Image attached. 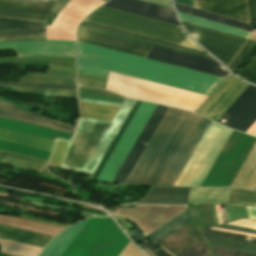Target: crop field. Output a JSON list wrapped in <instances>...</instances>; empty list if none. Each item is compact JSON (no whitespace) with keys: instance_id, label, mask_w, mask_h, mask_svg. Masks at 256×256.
I'll return each instance as SVG.
<instances>
[{"instance_id":"crop-field-1","label":"crop field","mask_w":256,"mask_h":256,"mask_svg":"<svg viewBox=\"0 0 256 256\" xmlns=\"http://www.w3.org/2000/svg\"><path fill=\"white\" fill-rule=\"evenodd\" d=\"M209 124L168 108L125 184L174 186Z\"/></svg>"},{"instance_id":"crop-field-2","label":"crop field","mask_w":256,"mask_h":256,"mask_svg":"<svg viewBox=\"0 0 256 256\" xmlns=\"http://www.w3.org/2000/svg\"><path fill=\"white\" fill-rule=\"evenodd\" d=\"M76 67L80 73L106 77L112 71L206 95L223 80L78 41Z\"/></svg>"},{"instance_id":"crop-field-3","label":"crop field","mask_w":256,"mask_h":256,"mask_svg":"<svg viewBox=\"0 0 256 256\" xmlns=\"http://www.w3.org/2000/svg\"><path fill=\"white\" fill-rule=\"evenodd\" d=\"M79 101L120 107L113 122L80 118L61 168L93 173L114 135L129 112L134 100L122 104L79 98Z\"/></svg>"},{"instance_id":"crop-field-4","label":"crop field","mask_w":256,"mask_h":256,"mask_svg":"<svg viewBox=\"0 0 256 256\" xmlns=\"http://www.w3.org/2000/svg\"><path fill=\"white\" fill-rule=\"evenodd\" d=\"M155 107L156 104L141 102L123 136L121 137L100 176L98 177V182L112 183L117 171L122 165L124 159L135 143L137 137L139 136ZM166 110L167 107L157 105L139 138L128 154L126 160L118 171L113 183L124 184Z\"/></svg>"},{"instance_id":"crop-field-5","label":"crop field","mask_w":256,"mask_h":256,"mask_svg":"<svg viewBox=\"0 0 256 256\" xmlns=\"http://www.w3.org/2000/svg\"><path fill=\"white\" fill-rule=\"evenodd\" d=\"M77 40L110 48L113 50L145 57L151 50L152 46L79 28L77 29ZM147 58L184 67L187 69L219 76L225 78L229 73H227L217 62L155 47L148 54Z\"/></svg>"},{"instance_id":"crop-field-6","label":"crop field","mask_w":256,"mask_h":256,"mask_svg":"<svg viewBox=\"0 0 256 256\" xmlns=\"http://www.w3.org/2000/svg\"><path fill=\"white\" fill-rule=\"evenodd\" d=\"M84 21L203 51L177 25L103 7L90 13Z\"/></svg>"},{"instance_id":"crop-field-7","label":"crop field","mask_w":256,"mask_h":256,"mask_svg":"<svg viewBox=\"0 0 256 256\" xmlns=\"http://www.w3.org/2000/svg\"><path fill=\"white\" fill-rule=\"evenodd\" d=\"M230 132L211 122L175 186H200Z\"/></svg>"},{"instance_id":"crop-field-8","label":"crop field","mask_w":256,"mask_h":256,"mask_svg":"<svg viewBox=\"0 0 256 256\" xmlns=\"http://www.w3.org/2000/svg\"><path fill=\"white\" fill-rule=\"evenodd\" d=\"M103 2L101 0H72L56 17L52 25L46 26V39L75 41L77 24Z\"/></svg>"},{"instance_id":"crop-field-9","label":"crop field","mask_w":256,"mask_h":256,"mask_svg":"<svg viewBox=\"0 0 256 256\" xmlns=\"http://www.w3.org/2000/svg\"><path fill=\"white\" fill-rule=\"evenodd\" d=\"M182 24L194 40L213 54L226 67L245 42V39L213 31L207 28L186 22H182Z\"/></svg>"},{"instance_id":"crop-field-10","label":"crop field","mask_w":256,"mask_h":256,"mask_svg":"<svg viewBox=\"0 0 256 256\" xmlns=\"http://www.w3.org/2000/svg\"><path fill=\"white\" fill-rule=\"evenodd\" d=\"M256 120V87L249 85L217 122L245 132Z\"/></svg>"},{"instance_id":"crop-field-11","label":"crop field","mask_w":256,"mask_h":256,"mask_svg":"<svg viewBox=\"0 0 256 256\" xmlns=\"http://www.w3.org/2000/svg\"><path fill=\"white\" fill-rule=\"evenodd\" d=\"M14 48L17 57L58 56L75 58V42L37 40L0 43V49Z\"/></svg>"},{"instance_id":"crop-field-12","label":"crop field","mask_w":256,"mask_h":256,"mask_svg":"<svg viewBox=\"0 0 256 256\" xmlns=\"http://www.w3.org/2000/svg\"><path fill=\"white\" fill-rule=\"evenodd\" d=\"M174 6H175L176 10H178V11H182V12H185V13H188V14H192V15L202 17V18H205V19H208V20H212V21H215V22H219V23H222V24L233 26V27L243 29V30H246V31L252 32V30H253L251 28V26L247 23L239 22V21H236V20H232V19H229V18L221 17V16L214 15V14H210V13H207V12L192 9V8L185 7V6L178 5V4H174ZM178 14H179V17L182 21H186V22H189V23H193V24H196V25H200V26H203V27H207V28H210V29H214V30H217V31H220V32H224V33L231 34V35L238 36V37L245 38V39H247V37L250 35V32H246V31H243V30H239V29L232 28V27H229V26H226V25H222V24L215 23V22H212V21L197 18V17H194V16L186 15V14H183V13L178 12Z\"/></svg>"},{"instance_id":"crop-field-13","label":"crop field","mask_w":256,"mask_h":256,"mask_svg":"<svg viewBox=\"0 0 256 256\" xmlns=\"http://www.w3.org/2000/svg\"><path fill=\"white\" fill-rule=\"evenodd\" d=\"M56 1L0 0V17L46 21Z\"/></svg>"},{"instance_id":"crop-field-14","label":"crop field","mask_w":256,"mask_h":256,"mask_svg":"<svg viewBox=\"0 0 256 256\" xmlns=\"http://www.w3.org/2000/svg\"><path fill=\"white\" fill-rule=\"evenodd\" d=\"M103 7L179 25L171 8L140 0H109Z\"/></svg>"},{"instance_id":"crop-field-15","label":"crop field","mask_w":256,"mask_h":256,"mask_svg":"<svg viewBox=\"0 0 256 256\" xmlns=\"http://www.w3.org/2000/svg\"><path fill=\"white\" fill-rule=\"evenodd\" d=\"M0 117L18 120L42 127H47L55 130H60L73 134L75 127L73 125L64 124L56 120L50 119L41 115L28 114L20 109L6 103L0 102Z\"/></svg>"},{"instance_id":"crop-field-16","label":"crop field","mask_w":256,"mask_h":256,"mask_svg":"<svg viewBox=\"0 0 256 256\" xmlns=\"http://www.w3.org/2000/svg\"><path fill=\"white\" fill-rule=\"evenodd\" d=\"M201 240L198 231L192 225L191 221H188L164 240L159 241V244L174 256H179Z\"/></svg>"},{"instance_id":"crop-field-17","label":"crop field","mask_w":256,"mask_h":256,"mask_svg":"<svg viewBox=\"0 0 256 256\" xmlns=\"http://www.w3.org/2000/svg\"><path fill=\"white\" fill-rule=\"evenodd\" d=\"M198 8L248 23L246 0H197Z\"/></svg>"},{"instance_id":"crop-field-18","label":"crop field","mask_w":256,"mask_h":256,"mask_svg":"<svg viewBox=\"0 0 256 256\" xmlns=\"http://www.w3.org/2000/svg\"><path fill=\"white\" fill-rule=\"evenodd\" d=\"M190 188L153 187L146 197L136 203L187 204Z\"/></svg>"},{"instance_id":"crop-field-19","label":"crop field","mask_w":256,"mask_h":256,"mask_svg":"<svg viewBox=\"0 0 256 256\" xmlns=\"http://www.w3.org/2000/svg\"><path fill=\"white\" fill-rule=\"evenodd\" d=\"M0 238L44 248L52 237L0 226Z\"/></svg>"},{"instance_id":"crop-field-20","label":"crop field","mask_w":256,"mask_h":256,"mask_svg":"<svg viewBox=\"0 0 256 256\" xmlns=\"http://www.w3.org/2000/svg\"><path fill=\"white\" fill-rule=\"evenodd\" d=\"M231 186L240 188L256 187V143L236 175Z\"/></svg>"},{"instance_id":"crop-field-21","label":"crop field","mask_w":256,"mask_h":256,"mask_svg":"<svg viewBox=\"0 0 256 256\" xmlns=\"http://www.w3.org/2000/svg\"><path fill=\"white\" fill-rule=\"evenodd\" d=\"M88 220L89 219L78 222L69 227L67 230L53 239L40 256H61Z\"/></svg>"},{"instance_id":"crop-field-22","label":"crop field","mask_w":256,"mask_h":256,"mask_svg":"<svg viewBox=\"0 0 256 256\" xmlns=\"http://www.w3.org/2000/svg\"><path fill=\"white\" fill-rule=\"evenodd\" d=\"M0 163L42 173L47 162L0 151Z\"/></svg>"},{"instance_id":"crop-field-23","label":"crop field","mask_w":256,"mask_h":256,"mask_svg":"<svg viewBox=\"0 0 256 256\" xmlns=\"http://www.w3.org/2000/svg\"><path fill=\"white\" fill-rule=\"evenodd\" d=\"M0 139L50 151L54 142L0 129Z\"/></svg>"},{"instance_id":"crop-field-24","label":"crop field","mask_w":256,"mask_h":256,"mask_svg":"<svg viewBox=\"0 0 256 256\" xmlns=\"http://www.w3.org/2000/svg\"><path fill=\"white\" fill-rule=\"evenodd\" d=\"M80 104L81 116L83 118L96 119L112 122L118 108L102 106L96 104L82 103Z\"/></svg>"},{"instance_id":"crop-field-25","label":"crop field","mask_w":256,"mask_h":256,"mask_svg":"<svg viewBox=\"0 0 256 256\" xmlns=\"http://www.w3.org/2000/svg\"><path fill=\"white\" fill-rule=\"evenodd\" d=\"M188 220H190L188 211L185 210L184 212L174 217L167 223L163 224L153 232L149 233L147 237L158 243L159 241L164 239L166 236L171 234L173 231H175L177 228H179L184 223H186Z\"/></svg>"},{"instance_id":"crop-field-26","label":"crop field","mask_w":256,"mask_h":256,"mask_svg":"<svg viewBox=\"0 0 256 256\" xmlns=\"http://www.w3.org/2000/svg\"><path fill=\"white\" fill-rule=\"evenodd\" d=\"M205 244L209 246L233 249L238 251L256 253V245L232 240L220 239L201 235Z\"/></svg>"},{"instance_id":"crop-field-27","label":"crop field","mask_w":256,"mask_h":256,"mask_svg":"<svg viewBox=\"0 0 256 256\" xmlns=\"http://www.w3.org/2000/svg\"><path fill=\"white\" fill-rule=\"evenodd\" d=\"M1 250L4 253L16 256H38L42 251L41 248L23 245L0 239Z\"/></svg>"},{"instance_id":"crop-field-28","label":"crop field","mask_w":256,"mask_h":256,"mask_svg":"<svg viewBox=\"0 0 256 256\" xmlns=\"http://www.w3.org/2000/svg\"><path fill=\"white\" fill-rule=\"evenodd\" d=\"M44 22L0 18V31L45 29Z\"/></svg>"},{"instance_id":"crop-field-29","label":"crop field","mask_w":256,"mask_h":256,"mask_svg":"<svg viewBox=\"0 0 256 256\" xmlns=\"http://www.w3.org/2000/svg\"><path fill=\"white\" fill-rule=\"evenodd\" d=\"M227 204L256 206V192L231 188Z\"/></svg>"},{"instance_id":"crop-field-30","label":"crop field","mask_w":256,"mask_h":256,"mask_svg":"<svg viewBox=\"0 0 256 256\" xmlns=\"http://www.w3.org/2000/svg\"><path fill=\"white\" fill-rule=\"evenodd\" d=\"M0 88L11 90V91H17V92L34 93V94H42V95H49V96L77 97L76 91H69V90L31 89V88L10 87V86H4V85H0Z\"/></svg>"},{"instance_id":"crop-field-31","label":"crop field","mask_w":256,"mask_h":256,"mask_svg":"<svg viewBox=\"0 0 256 256\" xmlns=\"http://www.w3.org/2000/svg\"><path fill=\"white\" fill-rule=\"evenodd\" d=\"M79 27H83V28H87V29H91V30H95V31H99V32H103V33H107V34H111V35H115V36H119V37H123V38H127V39H131V40H135V41H139V42H143V43H147V44H151V45H155V46H159V47H163V48H167V49H171V50H175V51H179V52H183V53H187V54H191V55H195V56H199V57H203V58L213 60L211 57L204 56V55H201V54H197V53H193V52H189V51H185V50H181V49H177V48H173V47H169V46H165V45L145 41V40H142V39H138V38H134V37L118 34V33H113V32H109V31L97 29V28L82 25V24H80Z\"/></svg>"},{"instance_id":"crop-field-32","label":"crop field","mask_w":256,"mask_h":256,"mask_svg":"<svg viewBox=\"0 0 256 256\" xmlns=\"http://www.w3.org/2000/svg\"><path fill=\"white\" fill-rule=\"evenodd\" d=\"M69 143L70 142L61 141V140L56 141V144L48 165L58 167V168L61 167L67 148L69 146Z\"/></svg>"},{"instance_id":"crop-field-33","label":"crop field","mask_w":256,"mask_h":256,"mask_svg":"<svg viewBox=\"0 0 256 256\" xmlns=\"http://www.w3.org/2000/svg\"><path fill=\"white\" fill-rule=\"evenodd\" d=\"M20 82L76 84V79L21 76Z\"/></svg>"},{"instance_id":"crop-field-34","label":"crop field","mask_w":256,"mask_h":256,"mask_svg":"<svg viewBox=\"0 0 256 256\" xmlns=\"http://www.w3.org/2000/svg\"><path fill=\"white\" fill-rule=\"evenodd\" d=\"M1 84L19 86V87H31V88H50V89H70L76 90V85H62V84H34V83H12V82H3Z\"/></svg>"},{"instance_id":"crop-field-35","label":"crop field","mask_w":256,"mask_h":256,"mask_svg":"<svg viewBox=\"0 0 256 256\" xmlns=\"http://www.w3.org/2000/svg\"><path fill=\"white\" fill-rule=\"evenodd\" d=\"M200 234L256 243V238H253V237L230 234V233L220 232V231L211 230V229H207L205 231H202V232H200Z\"/></svg>"},{"instance_id":"crop-field-36","label":"crop field","mask_w":256,"mask_h":256,"mask_svg":"<svg viewBox=\"0 0 256 256\" xmlns=\"http://www.w3.org/2000/svg\"><path fill=\"white\" fill-rule=\"evenodd\" d=\"M238 77L256 84V56L251 63L236 74Z\"/></svg>"},{"instance_id":"crop-field-37","label":"crop field","mask_w":256,"mask_h":256,"mask_svg":"<svg viewBox=\"0 0 256 256\" xmlns=\"http://www.w3.org/2000/svg\"><path fill=\"white\" fill-rule=\"evenodd\" d=\"M256 46V42L253 41H247L245 46L242 48L240 53L237 55V57L234 59V61L231 63V65L228 67L232 72L233 70L241 64L243 59L252 51V49Z\"/></svg>"},{"instance_id":"crop-field-38","label":"crop field","mask_w":256,"mask_h":256,"mask_svg":"<svg viewBox=\"0 0 256 256\" xmlns=\"http://www.w3.org/2000/svg\"><path fill=\"white\" fill-rule=\"evenodd\" d=\"M209 247V246H208ZM209 249L216 255V256H256V254L232 251L227 249L209 247Z\"/></svg>"},{"instance_id":"crop-field-39","label":"crop field","mask_w":256,"mask_h":256,"mask_svg":"<svg viewBox=\"0 0 256 256\" xmlns=\"http://www.w3.org/2000/svg\"><path fill=\"white\" fill-rule=\"evenodd\" d=\"M208 252H210V251L206 248V246L203 244V242H200L199 244H197L196 246H194L193 248L186 251L185 253H183L180 256H204Z\"/></svg>"},{"instance_id":"crop-field-40","label":"crop field","mask_w":256,"mask_h":256,"mask_svg":"<svg viewBox=\"0 0 256 256\" xmlns=\"http://www.w3.org/2000/svg\"><path fill=\"white\" fill-rule=\"evenodd\" d=\"M82 24H86V25H90V26H94V27H98V28H102V29H106V30H110V31L126 34V35H131V36H135V37H139V38H143V39H147V40H151V41H155V42H159V43H163V44H167V45L183 48V49H186V50H190V51H193V52H197V53L208 55L205 52H201V51H197V50H193V49H189V48H185V47H181V46H177V45H173V44H169V43H165V42H161V41H157V40L141 37V36H137V35H133V34H129V33L121 32V31H117V30H113V29H109V28H105V27H101V26H97V25H93V24H89V23H85V22H82Z\"/></svg>"},{"instance_id":"crop-field-41","label":"crop field","mask_w":256,"mask_h":256,"mask_svg":"<svg viewBox=\"0 0 256 256\" xmlns=\"http://www.w3.org/2000/svg\"><path fill=\"white\" fill-rule=\"evenodd\" d=\"M188 209H189V213H190V216H191V219H192L194 225L196 226L198 231H200L201 228H200V222H199L196 204H188Z\"/></svg>"},{"instance_id":"crop-field-42","label":"crop field","mask_w":256,"mask_h":256,"mask_svg":"<svg viewBox=\"0 0 256 256\" xmlns=\"http://www.w3.org/2000/svg\"><path fill=\"white\" fill-rule=\"evenodd\" d=\"M104 84L105 83H103V82H97V81H91V80H85V79L78 78V85H82V86L104 89Z\"/></svg>"},{"instance_id":"crop-field-43","label":"crop field","mask_w":256,"mask_h":256,"mask_svg":"<svg viewBox=\"0 0 256 256\" xmlns=\"http://www.w3.org/2000/svg\"><path fill=\"white\" fill-rule=\"evenodd\" d=\"M250 23L256 24V0H248Z\"/></svg>"},{"instance_id":"crop-field-44","label":"crop field","mask_w":256,"mask_h":256,"mask_svg":"<svg viewBox=\"0 0 256 256\" xmlns=\"http://www.w3.org/2000/svg\"><path fill=\"white\" fill-rule=\"evenodd\" d=\"M216 228H222V229H228V230H233V231L245 232V233H250V234H256V230L233 227V226H227V225L219 226V227H216Z\"/></svg>"},{"instance_id":"crop-field-45","label":"crop field","mask_w":256,"mask_h":256,"mask_svg":"<svg viewBox=\"0 0 256 256\" xmlns=\"http://www.w3.org/2000/svg\"><path fill=\"white\" fill-rule=\"evenodd\" d=\"M26 75L76 78L75 75L54 74V73H26Z\"/></svg>"},{"instance_id":"crop-field-46","label":"crop field","mask_w":256,"mask_h":256,"mask_svg":"<svg viewBox=\"0 0 256 256\" xmlns=\"http://www.w3.org/2000/svg\"><path fill=\"white\" fill-rule=\"evenodd\" d=\"M71 0H61L52 9L51 13L58 15L59 12L70 2Z\"/></svg>"},{"instance_id":"crop-field-47","label":"crop field","mask_w":256,"mask_h":256,"mask_svg":"<svg viewBox=\"0 0 256 256\" xmlns=\"http://www.w3.org/2000/svg\"><path fill=\"white\" fill-rule=\"evenodd\" d=\"M45 33V30L0 32V35Z\"/></svg>"},{"instance_id":"crop-field-48","label":"crop field","mask_w":256,"mask_h":256,"mask_svg":"<svg viewBox=\"0 0 256 256\" xmlns=\"http://www.w3.org/2000/svg\"><path fill=\"white\" fill-rule=\"evenodd\" d=\"M21 217H22V218H26V219H31V220L39 221V222L48 223V224H53V225H59V226H64V227L69 226L68 224H63V223H58V222H53V221L38 219V218L29 217V216H24V215H21Z\"/></svg>"},{"instance_id":"crop-field-49","label":"crop field","mask_w":256,"mask_h":256,"mask_svg":"<svg viewBox=\"0 0 256 256\" xmlns=\"http://www.w3.org/2000/svg\"><path fill=\"white\" fill-rule=\"evenodd\" d=\"M144 1H148V2H151V3H155V4L167 6V7H171V4H170L169 0H144Z\"/></svg>"},{"instance_id":"crop-field-50","label":"crop field","mask_w":256,"mask_h":256,"mask_svg":"<svg viewBox=\"0 0 256 256\" xmlns=\"http://www.w3.org/2000/svg\"><path fill=\"white\" fill-rule=\"evenodd\" d=\"M37 39H45V37L0 39V42H5V41H21V40H37Z\"/></svg>"},{"instance_id":"crop-field-51","label":"crop field","mask_w":256,"mask_h":256,"mask_svg":"<svg viewBox=\"0 0 256 256\" xmlns=\"http://www.w3.org/2000/svg\"><path fill=\"white\" fill-rule=\"evenodd\" d=\"M248 216L251 220H256V207L247 206Z\"/></svg>"},{"instance_id":"crop-field-52","label":"crop field","mask_w":256,"mask_h":256,"mask_svg":"<svg viewBox=\"0 0 256 256\" xmlns=\"http://www.w3.org/2000/svg\"><path fill=\"white\" fill-rule=\"evenodd\" d=\"M173 1L181 3V4H185V5H188V6H192V0H173ZM193 6L197 8L196 0H193Z\"/></svg>"},{"instance_id":"crop-field-53","label":"crop field","mask_w":256,"mask_h":256,"mask_svg":"<svg viewBox=\"0 0 256 256\" xmlns=\"http://www.w3.org/2000/svg\"><path fill=\"white\" fill-rule=\"evenodd\" d=\"M214 206H215V212H216V217H217V223L219 225V224L222 223L221 214H220V208H219L218 204H214Z\"/></svg>"},{"instance_id":"crop-field-54","label":"crop field","mask_w":256,"mask_h":256,"mask_svg":"<svg viewBox=\"0 0 256 256\" xmlns=\"http://www.w3.org/2000/svg\"><path fill=\"white\" fill-rule=\"evenodd\" d=\"M34 36H45V34L0 36V38H12V37H34Z\"/></svg>"},{"instance_id":"crop-field-55","label":"crop field","mask_w":256,"mask_h":256,"mask_svg":"<svg viewBox=\"0 0 256 256\" xmlns=\"http://www.w3.org/2000/svg\"><path fill=\"white\" fill-rule=\"evenodd\" d=\"M246 133L252 134L256 136V121L253 125L246 131Z\"/></svg>"},{"instance_id":"crop-field-56","label":"crop field","mask_w":256,"mask_h":256,"mask_svg":"<svg viewBox=\"0 0 256 256\" xmlns=\"http://www.w3.org/2000/svg\"><path fill=\"white\" fill-rule=\"evenodd\" d=\"M220 208H221L222 220H223V223H225V222H227L225 207H224V205H220Z\"/></svg>"},{"instance_id":"crop-field-57","label":"crop field","mask_w":256,"mask_h":256,"mask_svg":"<svg viewBox=\"0 0 256 256\" xmlns=\"http://www.w3.org/2000/svg\"><path fill=\"white\" fill-rule=\"evenodd\" d=\"M50 69L75 70V68L49 67Z\"/></svg>"},{"instance_id":"crop-field-58","label":"crop field","mask_w":256,"mask_h":256,"mask_svg":"<svg viewBox=\"0 0 256 256\" xmlns=\"http://www.w3.org/2000/svg\"><path fill=\"white\" fill-rule=\"evenodd\" d=\"M211 229H216V228H211ZM217 230H222V229H217ZM222 231H228V230H222ZM228 232H233V231H228ZM233 233H239V232H233ZM239 234L250 235V234H245V233H239ZM250 236L256 237V235H250Z\"/></svg>"},{"instance_id":"crop-field-59","label":"crop field","mask_w":256,"mask_h":256,"mask_svg":"<svg viewBox=\"0 0 256 256\" xmlns=\"http://www.w3.org/2000/svg\"><path fill=\"white\" fill-rule=\"evenodd\" d=\"M77 77H79V76H77ZM79 78H85V77H79ZM85 79H91V78H85ZM91 80H97V79H91ZM97 81H103V80H97ZM103 82H105V81H103Z\"/></svg>"},{"instance_id":"crop-field-60","label":"crop field","mask_w":256,"mask_h":256,"mask_svg":"<svg viewBox=\"0 0 256 256\" xmlns=\"http://www.w3.org/2000/svg\"><path fill=\"white\" fill-rule=\"evenodd\" d=\"M81 217L88 218V217H91V216H88V215H86V214L82 213Z\"/></svg>"},{"instance_id":"crop-field-61","label":"crop field","mask_w":256,"mask_h":256,"mask_svg":"<svg viewBox=\"0 0 256 256\" xmlns=\"http://www.w3.org/2000/svg\"><path fill=\"white\" fill-rule=\"evenodd\" d=\"M206 256H214V255L210 252Z\"/></svg>"},{"instance_id":"crop-field-62","label":"crop field","mask_w":256,"mask_h":256,"mask_svg":"<svg viewBox=\"0 0 256 256\" xmlns=\"http://www.w3.org/2000/svg\"><path fill=\"white\" fill-rule=\"evenodd\" d=\"M0 256H10V255H6V254H0Z\"/></svg>"}]
</instances>
